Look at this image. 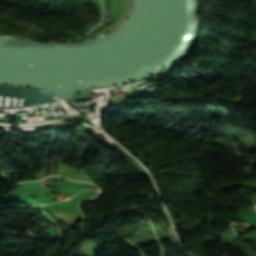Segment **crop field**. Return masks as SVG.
I'll use <instances>...</instances> for the list:
<instances>
[{"label":"crop field","mask_w":256,"mask_h":256,"mask_svg":"<svg viewBox=\"0 0 256 256\" xmlns=\"http://www.w3.org/2000/svg\"><path fill=\"white\" fill-rule=\"evenodd\" d=\"M128 8H129V0H126V8H125V12H124V14H123V16L120 18V20L116 23V24H114L112 27H110V28H108V29H106V30H104L103 32H101V33H99V34H97L96 36H98V35H101V34H104V33H106V32H108V31H110V30H112L114 27H116L118 24H120L121 22H122V20L124 19V17L126 16V14H127V12H128ZM102 31V30H101ZM100 32V31H99ZM98 33V32H97ZM96 34V33H95Z\"/></svg>","instance_id":"crop-field-1"}]
</instances>
